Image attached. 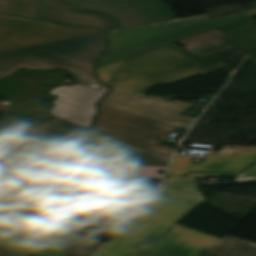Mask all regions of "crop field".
Wrapping results in <instances>:
<instances>
[{"instance_id":"obj_1","label":"crop field","mask_w":256,"mask_h":256,"mask_svg":"<svg viewBox=\"0 0 256 256\" xmlns=\"http://www.w3.org/2000/svg\"><path fill=\"white\" fill-rule=\"evenodd\" d=\"M80 11L114 19L109 51L97 67L251 17L236 13L211 20L207 14L178 20L163 0H65Z\"/></svg>"},{"instance_id":"obj_2","label":"crop field","mask_w":256,"mask_h":256,"mask_svg":"<svg viewBox=\"0 0 256 256\" xmlns=\"http://www.w3.org/2000/svg\"><path fill=\"white\" fill-rule=\"evenodd\" d=\"M159 180L46 173L41 180L5 188L40 224L60 223L54 208L79 199L123 200L129 212L149 203Z\"/></svg>"},{"instance_id":"obj_3","label":"crop field","mask_w":256,"mask_h":256,"mask_svg":"<svg viewBox=\"0 0 256 256\" xmlns=\"http://www.w3.org/2000/svg\"><path fill=\"white\" fill-rule=\"evenodd\" d=\"M86 128L54 117L31 129L0 131V181L16 184L40 177L43 168L77 154Z\"/></svg>"},{"instance_id":"obj_4","label":"crop field","mask_w":256,"mask_h":256,"mask_svg":"<svg viewBox=\"0 0 256 256\" xmlns=\"http://www.w3.org/2000/svg\"><path fill=\"white\" fill-rule=\"evenodd\" d=\"M218 67L175 45H168L97 70L112 91L144 94L153 85L177 82Z\"/></svg>"},{"instance_id":"obj_5","label":"crop field","mask_w":256,"mask_h":256,"mask_svg":"<svg viewBox=\"0 0 256 256\" xmlns=\"http://www.w3.org/2000/svg\"><path fill=\"white\" fill-rule=\"evenodd\" d=\"M204 201L196 185L162 187L155 203L94 256H138Z\"/></svg>"},{"instance_id":"obj_6","label":"crop field","mask_w":256,"mask_h":256,"mask_svg":"<svg viewBox=\"0 0 256 256\" xmlns=\"http://www.w3.org/2000/svg\"><path fill=\"white\" fill-rule=\"evenodd\" d=\"M104 33L56 43L38 45L20 50L0 53V78L8 76L21 67L26 69L65 68L72 72L80 84L107 90L93 74V65L72 60L37 49L43 48L71 57L94 62L99 52L105 50Z\"/></svg>"},{"instance_id":"obj_7","label":"crop field","mask_w":256,"mask_h":256,"mask_svg":"<svg viewBox=\"0 0 256 256\" xmlns=\"http://www.w3.org/2000/svg\"><path fill=\"white\" fill-rule=\"evenodd\" d=\"M100 106L97 123L92 130L113 137L138 148L171 159L174 149L160 145L168 138L164 136L179 127Z\"/></svg>"},{"instance_id":"obj_8","label":"crop field","mask_w":256,"mask_h":256,"mask_svg":"<svg viewBox=\"0 0 256 256\" xmlns=\"http://www.w3.org/2000/svg\"><path fill=\"white\" fill-rule=\"evenodd\" d=\"M0 15L46 21L55 26L112 29L111 20L77 12L61 0H0Z\"/></svg>"},{"instance_id":"obj_9","label":"crop field","mask_w":256,"mask_h":256,"mask_svg":"<svg viewBox=\"0 0 256 256\" xmlns=\"http://www.w3.org/2000/svg\"><path fill=\"white\" fill-rule=\"evenodd\" d=\"M97 33L102 32L53 28L46 23L0 17V52Z\"/></svg>"},{"instance_id":"obj_10","label":"crop field","mask_w":256,"mask_h":256,"mask_svg":"<svg viewBox=\"0 0 256 256\" xmlns=\"http://www.w3.org/2000/svg\"><path fill=\"white\" fill-rule=\"evenodd\" d=\"M190 159L176 156L162 185L175 184L188 171L241 172L256 160V147L224 146L201 164H192Z\"/></svg>"},{"instance_id":"obj_11","label":"crop field","mask_w":256,"mask_h":256,"mask_svg":"<svg viewBox=\"0 0 256 256\" xmlns=\"http://www.w3.org/2000/svg\"><path fill=\"white\" fill-rule=\"evenodd\" d=\"M100 104L186 129H189L196 120L180 115L189 104L177 101L170 102L162 98L109 92Z\"/></svg>"},{"instance_id":"obj_12","label":"crop field","mask_w":256,"mask_h":256,"mask_svg":"<svg viewBox=\"0 0 256 256\" xmlns=\"http://www.w3.org/2000/svg\"><path fill=\"white\" fill-rule=\"evenodd\" d=\"M56 91L58 93H55ZM50 94L60 96L55 101L53 115L89 128L93 123V115L97 112L95 103L103 97L105 92L74 85L55 88Z\"/></svg>"},{"instance_id":"obj_13","label":"crop field","mask_w":256,"mask_h":256,"mask_svg":"<svg viewBox=\"0 0 256 256\" xmlns=\"http://www.w3.org/2000/svg\"><path fill=\"white\" fill-rule=\"evenodd\" d=\"M218 240L176 224L140 256H202Z\"/></svg>"},{"instance_id":"obj_14","label":"crop field","mask_w":256,"mask_h":256,"mask_svg":"<svg viewBox=\"0 0 256 256\" xmlns=\"http://www.w3.org/2000/svg\"><path fill=\"white\" fill-rule=\"evenodd\" d=\"M185 49L218 66L224 61L245 54L219 29H215L195 37L177 42Z\"/></svg>"},{"instance_id":"obj_15","label":"crop field","mask_w":256,"mask_h":256,"mask_svg":"<svg viewBox=\"0 0 256 256\" xmlns=\"http://www.w3.org/2000/svg\"><path fill=\"white\" fill-rule=\"evenodd\" d=\"M0 247L26 255L39 256L68 255L42 228L10 233L0 238Z\"/></svg>"},{"instance_id":"obj_16","label":"crop field","mask_w":256,"mask_h":256,"mask_svg":"<svg viewBox=\"0 0 256 256\" xmlns=\"http://www.w3.org/2000/svg\"><path fill=\"white\" fill-rule=\"evenodd\" d=\"M69 163L167 166L168 159L147 153L81 152Z\"/></svg>"},{"instance_id":"obj_17","label":"crop field","mask_w":256,"mask_h":256,"mask_svg":"<svg viewBox=\"0 0 256 256\" xmlns=\"http://www.w3.org/2000/svg\"><path fill=\"white\" fill-rule=\"evenodd\" d=\"M165 169L166 167L153 166L67 164L65 167L46 171L162 178L163 175L159 171H165Z\"/></svg>"},{"instance_id":"obj_18","label":"crop field","mask_w":256,"mask_h":256,"mask_svg":"<svg viewBox=\"0 0 256 256\" xmlns=\"http://www.w3.org/2000/svg\"><path fill=\"white\" fill-rule=\"evenodd\" d=\"M70 256H91L104 243L61 230L60 225L43 228Z\"/></svg>"},{"instance_id":"obj_19","label":"crop field","mask_w":256,"mask_h":256,"mask_svg":"<svg viewBox=\"0 0 256 256\" xmlns=\"http://www.w3.org/2000/svg\"><path fill=\"white\" fill-rule=\"evenodd\" d=\"M246 54L256 51V19L253 17L220 28Z\"/></svg>"},{"instance_id":"obj_20","label":"crop field","mask_w":256,"mask_h":256,"mask_svg":"<svg viewBox=\"0 0 256 256\" xmlns=\"http://www.w3.org/2000/svg\"><path fill=\"white\" fill-rule=\"evenodd\" d=\"M0 212L16 228L39 225L0 184Z\"/></svg>"},{"instance_id":"obj_21","label":"crop field","mask_w":256,"mask_h":256,"mask_svg":"<svg viewBox=\"0 0 256 256\" xmlns=\"http://www.w3.org/2000/svg\"><path fill=\"white\" fill-rule=\"evenodd\" d=\"M203 256H256V244L225 235Z\"/></svg>"},{"instance_id":"obj_22","label":"crop field","mask_w":256,"mask_h":256,"mask_svg":"<svg viewBox=\"0 0 256 256\" xmlns=\"http://www.w3.org/2000/svg\"><path fill=\"white\" fill-rule=\"evenodd\" d=\"M80 151L146 152L92 130H89Z\"/></svg>"},{"instance_id":"obj_23","label":"crop field","mask_w":256,"mask_h":256,"mask_svg":"<svg viewBox=\"0 0 256 256\" xmlns=\"http://www.w3.org/2000/svg\"><path fill=\"white\" fill-rule=\"evenodd\" d=\"M236 176L238 174H222V173H189L184 176L176 184L196 183L197 179L205 178L206 176Z\"/></svg>"},{"instance_id":"obj_24","label":"crop field","mask_w":256,"mask_h":256,"mask_svg":"<svg viewBox=\"0 0 256 256\" xmlns=\"http://www.w3.org/2000/svg\"><path fill=\"white\" fill-rule=\"evenodd\" d=\"M256 177V162L251 165L246 171H244L241 175L235 177L236 179L243 178H254Z\"/></svg>"},{"instance_id":"obj_25","label":"crop field","mask_w":256,"mask_h":256,"mask_svg":"<svg viewBox=\"0 0 256 256\" xmlns=\"http://www.w3.org/2000/svg\"><path fill=\"white\" fill-rule=\"evenodd\" d=\"M13 230L6 221L0 216V235Z\"/></svg>"},{"instance_id":"obj_26","label":"crop field","mask_w":256,"mask_h":256,"mask_svg":"<svg viewBox=\"0 0 256 256\" xmlns=\"http://www.w3.org/2000/svg\"><path fill=\"white\" fill-rule=\"evenodd\" d=\"M0 256H23V255L0 248Z\"/></svg>"},{"instance_id":"obj_27","label":"crop field","mask_w":256,"mask_h":256,"mask_svg":"<svg viewBox=\"0 0 256 256\" xmlns=\"http://www.w3.org/2000/svg\"><path fill=\"white\" fill-rule=\"evenodd\" d=\"M247 59L256 65V53L249 55Z\"/></svg>"},{"instance_id":"obj_28","label":"crop field","mask_w":256,"mask_h":256,"mask_svg":"<svg viewBox=\"0 0 256 256\" xmlns=\"http://www.w3.org/2000/svg\"><path fill=\"white\" fill-rule=\"evenodd\" d=\"M8 107V104H6L5 102H0V110H6Z\"/></svg>"},{"instance_id":"obj_29","label":"crop field","mask_w":256,"mask_h":256,"mask_svg":"<svg viewBox=\"0 0 256 256\" xmlns=\"http://www.w3.org/2000/svg\"><path fill=\"white\" fill-rule=\"evenodd\" d=\"M243 12H248L252 16H255L256 15V8L255 9H251V10H247V11H243Z\"/></svg>"},{"instance_id":"obj_30","label":"crop field","mask_w":256,"mask_h":256,"mask_svg":"<svg viewBox=\"0 0 256 256\" xmlns=\"http://www.w3.org/2000/svg\"><path fill=\"white\" fill-rule=\"evenodd\" d=\"M244 181H256V178H254V179L237 180L236 182H244Z\"/></svg>"},{"instance_id":"obj_31","label":"crop field","mask_w":256,"mask_h":256,"mask_svg":"<svg viewBox=\"0 0 256 256\" xmlns=\"http://www.w3.org/2000/svg\"><path fill=\"white\" fill-rule=\"evenodd\" d=\"M43 50V49H42ZM50 52V51H49ZM52 53H54V52H52ZM57 54V53H56ZM59 55H61V54H59ZM62 56H64V55H62ZM66 57H68V56H66ZM69 58H71V57H69ZM73 59H75V58H73ZM77 60H79V59H77ZM82 61V60H81ZM86 62V61H85Z\"/></svg>"},{"instance_id":"obj_32","label":"crop field","mask_w":256,"mask_h":256,"mask_svg":"<svg viewBox=\"0 0 256 256\" xmlns=\"http://www.w3.org/2000/svg\"><path fill=\"white\" fill-rule=\"evenodd\" d=\"M30 256H33V255H30Z\"/></svg>"}]
</instances>
